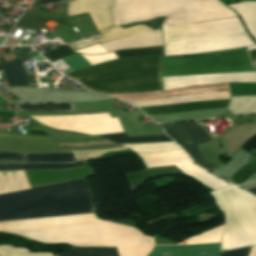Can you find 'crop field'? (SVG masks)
<instances>
[{"instance_id": "crop-field-36", "label": "crop field", "mask_w": 256, "mask_h": 256, "mask_svg": "<svg viewBox=\"0 0 256 256\" xmlns=\"http://www.w3.org/2000/svg\"><path fill=\"white\" fill-rule=\"evenodd\" d=\"M39 5L48 3V2H53V1H58V0H35Z\"/></svg>"}, {"instance_id": "crop-field-1", "label": "crop field", "mask_w": 256, "mask_h": 256, "mask_svg": "<svg viewBox=\"0 0 256 256\" xmlns=\"http://www.w3.org/2000/svg\"><path fill=\"white\" fill-rule=\"evenodd\" d=\"M0 231L44 243L116 247L119 256H146L153 246V239L137 229L101 221L95 214L0 222Z\"/></svg>"}, {"instance_id": "crop-field-8", "label": "crop field", "mask_w": 256, "mask_h": 256, "mask_svg": "<svg viewBox=\"0 0 256 256\" xmlns=\"http://www.w3.org/2000/svg\"><path fill=\"white\" fill-rule=\"evenodd\" d=\"M243 31L237 17L163 27V42L215 36Z\"/></svg>"}, {"instance_id": "crop-field-22", "label": "crop field", "mask_w": 256, "mask_h": 256, "mask_svg": "<svg viewBox=\"0 0 256 256\" xmlns=\"http://www.w3.org/2000/svg\"><path fill=\"white\" fill-rule=\"evenodd\" d=\"M21 111H73V104L15 105Z\"/></svg>"}, {"instance_id": "crop-field-7", "label": "crop field", "mask_w": 256, "mask_h": 256, "mask_svg": "<svg viewBox=\"0 0 256 256\" xmlns=\"http://www.w3.org/2000/svg\"><path fill=\"white\" fill-rule=\"evenodd\" d=\"M110 7L113 0H70L68 1V16L88 12L102 38H95L68 44L73 50L91 45L95 42H105L117 38L151 31V29L138 25L128 29L120 26H112L110 19Z\"/></svg>"}, {"instance_id": "crop-field-23", "label": "crop field", "mask_w": 256, "mask_h": 256, "mask_svg": "<svg viewBox=\"0 0 256 256\" xmlns=\"http://www.w3.org/2000/svg\"><path fill=\"white\" fill-rule=\"evenodd\" d=\"M115 54L118 56V58H127V57H133V56H151V55L162 54V47L122 50V51H116Z\"/></svg>"}, {"instance_id": "crop-field-21", "label": "crop field", "mask_w": 256, "mask_h": 256, "mask_svg": "<svg viewBox=\"0 0 256 256\" xmlns=\"http://www.w3.org/2000/svg\"><path fill=\"white\" fill-rule=\"evenodd\" d=\"M256 172V155L250 156L249 162L236 172L228 181L241 184Z\"/></svg>"}, {"instance_id": "crop-field-16", "label": "crop field", "mask_w": 256, "mask_h": 256, "mask_svg": "<svg viewBox=\"0 0 256 256\" xmlns=\"http://www.w3.org/2000/svg\"><path fill=\"white\" fill-rule=\"evenodd\" d=\"M98 136L115 143H142V142L171 140L165 134L152 135V136L128 137L127 133H119V134L98 135Z\"/></svg>"}, {"instance_id": "crop-field-18", "label": "crop field", "mask_w": 256, "mask_h": 256, "mask_svg": "<svg viewBox=\"0 0 256 256\" xmlns=\"http://www.w3.org/2000/svg\"><path fill=\"white\" fill-rule=\"evenodd\" d=\"M83 162L79 163H61V164H42V163H27V164H0V171L15 170V169H52V168H72L85 166Z\"/></svg>"}, {"instance_id": "crop-field-19", "label": "crop field", "mask_w": 256, "mask_h": 256, "mask_svg": "<svg viewBox=\"0 0 256 256\" xmlns=\"http://www.w3.org/2000/svg\"><path fill=\"white\" fill-rule=\"evenodd\" d=\"M73 154H34L25 153V162H71Z\"/></svg>"}, {"instance_id": "crop-field-26", "label": "crop field", "mask_w": 256, "mask_h": 256, "mask_svg": "<svg viewBox=\"0 0 256 256\" xmlns=\"http://www.w3.org/2000/svg\"><path fill=\"white\" fill-rule=\"evenodd\" d=\"M62 60L68 64L73 71L90 66V64L80 54L62 58Z\"/></svg>"}, {"instance_id": "crop-field-38", "label": "crop field", "mask_w": 256, "mask_h": 256, "mask_svg": "<svg viewBox=\"0 0 256 256\" xmlns=\"http://www.w3.org/2000/svg\"><path fill=\"white\" fill-rule=\"evenodd\" d=\"M248 191H250L252 194L256 195V187L250 188V189H246Z\"/></svg>"}, {"instance_id": "crop-field-27", "label": "crop field", "mask_w": 256, "mask_h": 256, "mask_svg": "<svg viewBox=\"0 0 256 256\" xmlns=\"http://www.w3.org/2000/svg\"><path fill=\"white\" fill-rule=\"evenodd\" d=\"M136 153H156V152H164L171 150H179L181 149L177 144L159 146V147H132L130 148Z\"/></svg>"}, {"instance_id": "crop-field-6", "label": "crop field", "mask_w": 256, "mask_h": 256, "mask_svg": "<svg viewBox=\"0 0 256 256\" xmlns=\"http://www.w3.org/2000/svg\"><path fill=\"white\" fill-rule=\"evenodd\" d=\"M247 53L194 58H163L162 77L250 72Z\"/></svg>"}, {"instance_id": "crop-field-35", "label": "crop field", "mask_w": 256, "mask_h": 256, "mask_svg": "<svg viewBox=\"0 0 256 256\" xmlns=\"http://www.w3.org/2000/svg\"><path fill=\"white\" fill-rule=\"evenodd\" d=\"M184 153L183 151H175V152H164V153H157V154H138L139 157H146V156H159V155H172V154H180Z\"/></svg>"}, {"instance_id": "crop-field-10", "label": "crop field", "mask_w": 256, "mask_h": 256, "mask_svg": "<svg viewBox=\"0 0 256 256\" xmlns=\"http://www.w3.org/2000/svg\"><path fill=\"white\" fill-rule=\"evenodd\" d=\"M147 168L158 166L175 165L178 169L183 171L188 176L202 182L210 188L217 190L229 186L230 184L222 181L216 176L204 171L203 169L192 164V161L186 154L161 156V157H148L142 158Z\"/></svg>"}, {"instance_id": "crop-field-29", "label": "crop field", "mask_w": 256, "mask_h": 256, "mask_svg": "<svg viewBox=\"0 0 256 256\" xmlns=\"http://www.w3.org/2000/svg\"><path fill=\"white\" fill-rule=\"evenodd\" d=\"M82 55V54H81ZM91 65L97 64L100 62L116 59L117 56L114 52L106 53L103 55H82Z\"/></svg>"}, {"instance_id": "crop-field-34", "label": "crop field", "mask_w": 256, "mask_h": 256, "mask_svg": "<svg viewBox=\"0 0 256 256\" xmlns=\"http://www.w3.org/2000/svg\"><path fill=\"white\" fill-rule=\"evenodd\" d=\"M53 140H57V141L84 140V142H90V141H101L102 139L96 138V137H85V138H53Z\"/></svg>"}, {"instance_id": "crop-field-3", "label": "crop field", "mask_w": 256, "mask_h": 256, "mask_svg": "<svg viewBox=\"0 0 256 256\" xmlns=\"http://www.w3.org/2000/svg\"><path fill=\"white\" fill-rule=\"evenodd\" d=\"M160 63L161 56L121 59L65 76L102 94L158 91Z\"/></svg>"}, {"instance_id": "crop-field-32", "label": "crop field", "mask_w": 256, "mask_h": 256, "mask_svg": "<svg viewBox=\"0 0 256 256\" xmlns=\"http://www.w3.org/2000/svg\"><path fill=\"white\" fill-rule=\"evenodd\" d=\"M76 52H82V53H87V54H98V53H106L107 51H105L100 45L95 44L93 46L81 49L79 51Z\"/></svg>"}, {"instance_id": "crop-field-14", "label": "crop field", "mask_w": 256, "mask_h": 256, "mask_svg": "<svg viewBox=\"0 0 256 256\" xmlns=\"http://www.w3.org/2000/svg\"><path fill=\"white\" fill-rule=\"evenodd\" d=\"M0 71H3L9 87L29 86L21 59L0 64Z\"/></svg>"}, {"instance_id": "crop-field-13", "label": "crop field", "mask_w": 256, "mask_h": 256, "mask_svg": "<svg viewBox=\"0 0 256 256\" xmlns=\"http://www.w3.org/2000/svg\"><path fill=\"white\" fill-rule=\"evenodd\" d=\"M228 101H229V98H223V99L181 102V103H175V104H169V105L144 106L139 108L143 110L145 114H160V113H171V112H178V111L191 110V109L222 107V106H227Z\"/></svg>"}, {"instance_id": "crop-field-17", "label": "crop field", "mask_w": 256, "mask_h": 256, "mask_svg": "<svg viewBox=\"0 0 256 256\" xmlns=\"http://www.w3.org/2000/svg\"><path fill=\"white\" fill-rule=\"evenodd\" d=\"M54 256H118L116 248L107 247H84L71 248L70 252Z\"/></svg>"}, {"instance_id": "crop-field-5", "label": "crop field", "mask_w": 256, "mask_h": 256, "mask_svg": "<svg viewBox=\"0 0 256 256\" xmlns=\"http://www.w3.org/2000/svg\"><path fill=\"white\" fill-rule=\"evenodd\" d=\"M233 186L212 193L225 217L222 250L256 245V198Z\"/></svg>"}, {"instance_id": "crop-field-11", "label": "crop field", "mask_w": 256, "mask_h": 256, "mask_svg": "<svg viewBox=\"0 0 256 256\" xmlns=\"http://www.w3.org/2000/svg\"><path fill=\"white\" fill-rule=\"evenodd\" d=\"M220 243L155 246L148 256H219Z\"/></svg>"}, {"instance_id": "crop-field-9", "label": "crop field", "mask_w": 256, "mask_h": 256, "mask_svg": "<svg viewBox=\"0 0 256 256\" xmlns=\"http://www.w3.org/2000/svg\"><path fill=\"white\" fill-rule=\"evenodd\" d=\"M165 131L175 141L179 142L189 156L201 167L209 171L218 168V166L205 161L200 156L195 142L210 140L211 138L195 122L185 124H168Z\"/></svg>"}, {"instance_id": "crop-field-20", "label": "crop field", "mask_w": 256, "mask_h": 256, "mask_svg": "<svg viewBox=\"0 0 256 256\" xmlns=\"http://www.w3.org/2000/svg\"><path fill=\"white\" fill-rule=\"evenodd\" d=\"M222 226L216 227L214 229L208 230L196 236H193L189 239H186V244H194V243H215L220 242V237L222 234Z\"/></svg>"}, {"instance_id": "crop-field-37", "label": "crop field", "mask_w": 256, "mask_h": 256, "mask_svg": "<svg viewBox=\"0 0 256 256\" xmlns=\"http://www.w3.org/2000/svg\"><path fill=\"white\" fill-rule=\"evenodd\" d=\"M219 1L222 2L223 4H226V3H232V2L244 1V0H219Z\"/></svg>"}, {"instance_id": "crop-field-30", "label": "crop field", "mask_w": 256, "mask_h": 256, "mask_svg": "<svg viewBox=\"0 0 256 256\" xmlns=\"http://www.w3.org/2000/svg\"><path fill=\"white\" fill-rule=\"evenodd\" d=\"M0 162H24V153L0 151Z\"/></svg>"}, {"instance_id": "crop-field-24", "label": "crop field", "mask_w": 256, "mask_h": 256, "mask_svg": "<svg viewBox=\"0 0 256 256\" xmlns=\"http://www.w3.org/2000/svg\"><path fill=\"white\" fill-rule=\"evenodd\" d=\"M0 256H53L51 252L30 253L26 248H12L4 245L0 246Z\"/></svg>"}, {"instance_id": "crop-field-2", "label": "crop field", "mask_w": 256, "mask_h": 256, "mask_svg": "<svg viewBox=\"0 0 256 256\" xmlns=\"http://www.w3.org/2000/svg\"><path fill=\"white\" fill-rule=\"evenodd\" d=\"M88 179L0 194V221L92 212Z\"/></svg>"}, {"instance_id": "crop-field-12", "label": "crop field", "mask_w": 256, "mask_h": 256, "mask_svg": "<svg viewBox=\"0 0 256 256\" xmlns=\"http://www.w3.org/2000/svg\"><path fill=\"white\" fill-rule=\"evenodd\" d=\"M108 52L139 47L163 46L161 31H152L101 44Z\"/></svg>"}, {"instance_id": "crop-field-15", "label": "crop field", "mask_w": 256, "mask_h": 256, "mask_svg": "<svg viewBox=\"0 0 256 256\" xmlns=\"http://www.w3.org/2000/svg\"><path fill=\"white\" fill-rule=\"evenodd\" d=\"M229 6L238 12L256 39V2H241Z\"/></svg>"}, {"instance_id": "crop-field-28", "label": "crop field", "mask_w": 256, "mask_h": 256, "mask_svg": "<svg viewBox=\"0 0 256 256\" xmlns=\"http://www.w3.org/2000/svg\"><path fill=\"white\" fill-rule=\"evenodd\" d=\"M71 54H74V52L70 48H68L66 45H64L58 49H55L43 54V56L48 60L52 61V60H56Z\"/></svg>"}, {"instance_id": "crop-field-25", "label": "crop field", "mask_w": 256, "mask_h": 256, "mask_svg": "<svg viewBox=\"0 0 256 256\" xmlns=\"http://www.w3.org/2000/svg\"><path fill=\"white\" fill-rule=\"evenodd\" d=\"M124 148H114V149H102V150H91V151H72L75 155L76 161L91 160L99 157L107 151L113 150H123Z\"/></svg>"}, {"instance_id": "crop-field-4", "label": "crop field", "mask_w": 256, "mask_h": 256, "mask_svg": "<svg viewBox=\"0 0 256 256\" xmlns=\"http://www.w3.org/2000/svg\"><path fill=\"white\" fill-rule=\"evenodd\" d=\"M168 16L163 26L236 16L217 0H114L113 25Z\"/></svg>"}, {"instance_id": "crop-field-33", "label": "crop field", "mask_w": 256, "mask_h": 256, "mask_svg": "<svg viewBox=\"0 0 256 256\" xmlns=\"http://www.w3.org/2000/svg\"><path fill=\"white\" fill-rule=\"evenodd\" d=\"M0 137H5V138H17V139L52 140V139H50L49 137L27 136V135H7V134H0Z\"/></svg>"}, {"instance_id": "crop-field-31", "label": "crop field", "mask_w": 256, "mask_h": 256, "mask_svg": "<svg viewBox=\"0 0 256 256\" xmlns=\"http://www.w3.org/2000/svg\"><path fill=\"white\" fill-rule=\"evenodd\" d=\"M252 247L235 249L224 253L222 256H248ZM249 256H256V247H253Z\"/></svg>"}]
</instances>
